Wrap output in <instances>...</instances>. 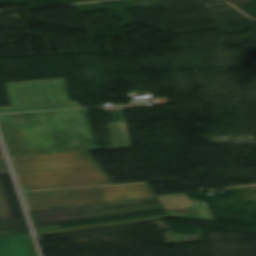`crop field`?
Instances as JSON below:
<instances>
[{
	"instance_id": "crop-field-2",
	"label": "crop field",
	"mask_w": 256,
	"mask_h": 256,
	"mask_svg": "<svg viewBox=\"0 0 256 256\" xmlns=\"http://www.w3.org/2000/svg\"><path fill=\"white\" fill-rule=\"evenodd\" d=\"M10 158L21 191L111 184L88 152Z\"/></svg>"
},
{
	"instance_id": "crop-field-8",
	"label": "crop field",
	"mask_w": 256,
	"mask_h": 256,
	"mask_svg": "<svg viewBox=\"0 0 256 256\" xmlns=\"http://www.w3.org/2000/svg\"><path fill=\"white\" fill-rule=\"evenodd\" d=\"M174 197L175 199H171ZM179 197V198H176ZM160 201L163 203V205L166 207V209H174V208H186L190 207L188 202H192L194 200H188L184 195H173V196H163L159 197ZM164 199H168L164 201ZM182 200L183 202L178 203V201ZM168 202H172L168 204ZM185 204H188V206H185ZM175 205H179V207H173Z\"/></svg>"
},
{
	"instance_id": "crop-field-6",
	"label": "crop field",
	"mask_w": 256,
	"mask_h": 256,
	"mask_svg": "<svg viewBox=\"0 0 256 256\" xmlns=\"http://www.w3.org/2000/svg\"><path fill=\"white\" fill-rule=\"evenodd\" d=\"M30 235L36 256L37 250L32 235ZM0 256H33L31 246L26 234L0 237Z\"/></svg>"
},
{
	"instance_id": "crop-field-9",
	"label": "crop field",
	"mask_w": 256,
	"mask_h": 256,
	"mask_svg": "<svg viewBox=\"0 0 256 256\" xmlns=\"http://www.w3.org/2000/svg\"><path fill=\"white\" fill-rule=\"evenodd\" d=\"M105 110H115V109H123L122 106H118V107H108V108H104Z\"/></svg>"
},
{
	"instance_id": "crop-field-1",
	"label": "crop field",
	"mask_w": 256,
	"mask_h": 256,
	"mask_svg": "<svg viewBox=\"0 0 256 256\" xmlns=\"http://www.w3.org/2000/svg\"><path fill=\"white\" fill-rule=\"evenodd\" d=\"M85 109L0 116L9 155L97 150Z\"/></svg>"
},
{
	"instance_id": "crop-field-5",
	"label": "crop field",
	"mask_w": 256,
	"mask_h": 256,
	"mask_svg": "<svg viewBox=\"0 0 256 256\" xmlns=\"http://www.w3.org/2000/svg\"><path fill=\"white\" fill-rule=\"evenodd\" d=\"M190 205H191V207L193 209H189V210L174 209V210H167V211L169 212V214L171 216L214 221L205 203H202V202H192V203H190ZM166 217H168V216H166ZM158 218H160V217H158ZM153 219H155V218L145 219V220H137V221H129V222L104 224V225H97V226H90V227H82V228H75V229H67V230L39 232V233H36V234L40 235V234H48V233L70 231V230H78V229L114 226V225H121V224L134 223V222H141V221H147V220H153Z\"/></svg>"
},
{
	"instance_id": "crop-field-3",
	"label": "crop field",
	"mask_w": 256,
	"mask_h": 256,
	"mask_svg": "<svg viewBox=\"0 0 256 256\" xmlns=\"http://www.w3.org/2000/svg\"><path fill=\"white\" fill-rule=\"evenodd\" d=\"M29 212L155 196L147 184L22 193Z\"/></svg>"
},
{
	"instance_id": "crop-field-4",
	"label": "crop field",
	"mask_w": 256,
	"mask_h": 256,
	"mask_svg": "<svg viewBox=\"0 0 256 256\" xmlns=\"http://www.w3.org/2000/svg\"><path fill=\"white\" fill-rule=\"evenodd\" d=\"M11 108L0 113L53 110L78 107L69 104L64 79L5 83Z\"/></svg>"
},
{
	"instance_id": "crop-field-7",
	"label": "crop field",
	"mask_w": 256,
	"mask_h": 256,
	"mask_svg": "<svg viewBox=\"0 0 256 256\" xmlns=\"http://www.w3.org/2000/svg\"><path fill=\"white\" fill-rule=\"evenodd\" d=\"M110 146L97 147L98 150L130 148L125 122L107 124Z\"/></svg>"
}]
</instances>
